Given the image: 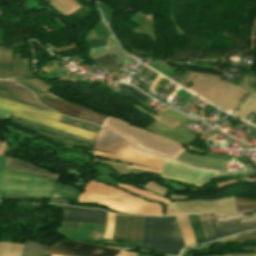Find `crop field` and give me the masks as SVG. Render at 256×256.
I'll return each instance as SVG.
<instances>
[{
    "mask_svg": "<svg viewBox=\"0 0 256 256\" xmlns=\"http://www.w3.org/2000/svg\"><path fill=\"white\" fill-rule=\"evenodd\" d=\"M55 185L47 179L5 169L2 193L51 197Z\"/></svg>",
    "mask_w": 256,
    "mask_h": 256,
    "instance_id": "crop-field-6",
    "label": "crop field"
},
{
    "mask_svg": "<svg viewBox=\"0 0 256 256\" xmlns=\"http://www.w3.org/2000/svg\"><path fill=\"white\" fill-rule=\"evenodd\" d=\"M109 49H110V51H111L113 56H115L117 59H119L120 61H122L123 63H125L127 65L135 62L134 60H132L131 58H129L125 54H123L121 52L122 50L120 51V49H119L117 44L109 47Z\"/></svg>",
    "mask_w": 256,
    "mask_h": 256,
    "instance_id": "crop-field-24",
    "label": "crop field"
},
{
    "mask_svg": "<svg viewBox=\"0 0 256 256\" xmlns=\"http://www.w3.org/2000/svg\"><path fill=\"white\" fill-rule=\"evenodd\" d=\"M176 214L185 213H210L227 214L235 213L233 197L225 198L213 202L191 201L173 203Z\"/></svg>",
    "mask_w": 256,
    "mask_h": 256,
    "instance_id": "crop-field-8",
    "label": "crop field"
},
{
    "mask_svg": "<svg viewBox=\"0 0 256 256\" xmlns=\"http://www.w3.org/2000/svg\"><path fill=\"white\" fill-rule=\"evenodd\" d=\"M64 220L106 224L107 213L100 210L81 209L63 205Z\"/></svg>",
    "mask_w": 256,
    "mask_h": 256,
    "instance_id": "crop-field-11",
    "label": "crop field"
},
{
    "mask_svg": "<svg viewBox=\"0 0 256 256\" xmlns=\"http://www.w3.org/2000/svg\"><path fill=\"white\" fill-rule=\"evenodd\" d=\"M224 256H255V254H230V255H224Z\"/></svg>",
    "mask_w": 256,
    "mask_h": 256,
    "instance_id": "crop-field-37",
    "label": "crop field"
},
{
    "mask_svg": "<svg viewBox=\"0 0 256 256\" xmlns=\"http://www.w3.org/2000/svg\"><path fill=\"white\" fill-rule=\"evenodd\" d=\"M244 240H256V231L246 233L244 235H240V236H237L234 238L226 239V240L222 241V243H223V245H226V244H231V243L240 242V241H244Z\"/></svg>",
    "mask_w": 256,
    "mask_h": 256,
    "instance_id": "crop-field-25",
    "label": "crop field"
},
{
    "mask_svg": "<svg viewBox=\"0 0 256 256\" xmlns=\"http://www.w3.org/2000/svg\"><path fill=\"white\" fill-rule=\"evenodd\" d=\"M163 78L164 77H162V76H158L157 78H156V80L153 82V84L150 86V88H151V90H155L156 88H157V86L160 84V82L163 80Z\"/></svg>",
    "mask_w": 256,
    "mask_h": 256,
    "instance_id": "crop-field-33",
    "label": "crop field"
},
{
    "mask_svg": "<svg viewBox=\"0 0 256 256\" xmlns=\"http://www.w3.org/2000/svg\"><path fill=\"white\" fill-rule=\"evenodd\" d=\"M0 97L12 100L18 103L46 109L45 107L41 106L40 103H38L33 95H28V94H22V93H16V92H10V91H5V90H0ZM48 110V109H46ZM51 111V110H49Z\"/></svg>",
    "mask_w": 256,
    "mask_h": 256,
    "instance_id": "crop-field-16",
    "label": "crop field"
},
{
    "mask_svg": "<svg viewBox=\"0 0 256 256\" xmlns=\"http://www.w3.org/2000/svg\"><path fill=\"white\" fill-rule=\"evenodd\" d=\"M104 244L111 245V246H116V247H122V248H139V245L122 244V243H118V242L104 241Z\"/></svg>",
    "mask_w": 256,
    "mask_h": 256,
    "instance_id": "crop-field-30",
    "label": "crop field"
},
{
    "mask_svg": "<svg viewBox=\"0 0 256 256\" xmlns=\"http://www.w3.org/2000/svg\"><path fill=\"white\" fill-rule=\"evenodd\" d=\"M222 236H228L245 230L256 228V220L241 223L240 220L219 221Z\"/></svg>",
    "mask_w": 256,
    "mask_h": 256,
    "instance_id": "crop-field-12",
    "label": "crop field"
},
{
    "mask_svg": "<svg viewBox=\"0 0 256 256\" xmlns=\"http://www.w3.org/2000/svg\"><path fill=\"white\" fill-rule=\"evenodd\" d=\"M161 113L166 114V115H170V116H174V117H176V118H178V119H180V120H182L184 122L188 119V117H185V116L177 113L176 111H174V110H172L170 108L165 110V111H163V112H161Z\"/></svg>",
    "mask_w": 256,
    "mask_h": 256,
    "instance_id": "crop-field-29",
    "label": "crop field"
},
{
    "mask_svg": "<svg viewBox=\"0 0 256 256\" xmlns=\"http://www.w3.org/2000/svg\"><path fill=\"white\" fill-rule=\"evenodd\" d=\"M51 256H54V255H51Z\"/></svg>",
    "mask_w": 256,
    "mask_h": 256,
    "instance_id": "crop-field-41",
    "label": "crop field"
},
{
    "mask_svg": "<svg viewBox=\"0 0 256 256\" xmlns=\"http://www.w3.org/2000/svg\"><path fill=\"white\" fill-rule=\"evenodd\" d=\"M5 167L20 170V171H24V172H28V173H32V174H37V175H41V176H45V177H49V178H52L54 180H57L60 177V176H58L54 173H50V172H47V171H44V170L37 169V168H35L33 166H30L26 163L20 162V161L15 160V159H10V158L7 159V163H6Z\"/></svg>",
    "mask_w": 256,
    "mask_h": 256,
    "instance_id": "crop-field-15",
    "label": "crop field"
},
{
    "mask_svg": "<svg viewBox=\"0 0 256 256\" xmlns=\"http://www.w3.org/2000/svg\"><path fill=\"white\" fill-rule=\"evenodd\" d=\"M119 94L122 95V96H125L129 99H134L138 102L149 98L148 96L142 94L141 92L135 90L134 88H132L130 86L125 87V86L121 85Z\"/></svg>",
    "mask_w": 256,
    "mask_h": 256,
    "instance_id": "crop-field-22",
    "label": "crop field"
},
{
    "mask_svg": "<svg viewBox=\"0 0 256 256\" xmlns=\"http://www.w3.org/2000/svg\"><path fill=\"white\" fill-rule=\"evenodd\" d=\"M79 119H82V120H85V121H88V122H91V123L101 126L102 123L104 122V120L106 119V116H103L101 114H98V113H95V112H92L90 110L83 108V110L79 116Z\"/></svg>",
    "mask_w": 256,
    "mask_h": 256,
    "instance_id": "crop-field-21",
    "label": "crop field"
},
{
    "mask_svg": "<svg viewBox=\"0 0 256 256\" xmlns=\"http://www.w3.org/2000/svg\"><path fill=\"white\" fill-rule=\"evenodd\" d=\"M46 253L68 256H116L119 252L112 249L80 242L61 241L45 249Z\"/></svg>",
    "mask_w": 256,
    "mask_h": 256,
    "instance_id": "crop-field-9",
    "label": "crop field"
},
{
    "mask_svg": "<svg viewBox=\"0 0 256 256\" xmlns=\"http://www.w3.org/2000/svg\"><path fill=\"white\" fill-rule=\"evenodd\" d=\"M119 256H137V253L122 252Z\"/></svg>",
    "mask_w": 256,
    "mask_h": 256,
    "instance_id": "crop-field-36",
    "label": "crop field"
},
{
    "mask_svg": "<svg viewBox=\"0 0 256 256\" xmlns=\"http://www.w3.org/2000/svg\"><path fill=\"white\" fill-rule=\"evenodd\" d=\"M206 241L221 238V233L215 216L199 215Z\"/></svg>",
    "mask_w": 256,
    "mask_h": 256,
    "instance_id": "crop-field-14",
    "label": "crop field"
},
{
    "mask_svg": "<svg viewBox=\"0 0 256 256\" xmlns=\"http://www.w3.org/2000/svg\"><path fill=\"white\" fill-rule=\"evenodd\" d=\"M242 250H246V251H256V247H245Z\"/></svg>",
    "mask_w": 256,
    "mask_h": 256,
    "instance_id": "crop-field-39",
    "label": "crop field"
},
{
    "mask_svg": "<svg viewBox=\"0 0 256 256\" xmlns=\"http://www.w3.org/2000/svg\"><path fill=\"white\" fill-rule=\"evenodd\" d=\"M42 256H50V255L43 254Z\"/></svg>",
    "mask_w": 256,
    "mask_h": 256,
    "instance_id": "crop-field-40",
    "label": "crop field"
},
{
    "mask_svg": "<svg viewBox=\"0 0 256 256\" xmlns=\"http://www.w3.org/2000/svg\"><path fill=\"white\" fill-rule=\"evenodd\" d=\"M0 116L8 118L10 116V113L0 110Z\"/></svg>",
    "mask_w": 256,
    "mask_h": 256,
    "instance_id": "crop-field-38",
    "label": "crop field"
},
{
    "mask_svg": "<svg viewBox=\"0 0 256 256\" xmlns=\"http://www.w3.org/2000/svg\"><path fill=\"white\" fill-rule=\"evenodd\" d=\"M107 49H108L107 46L100 47V48H94V49H91V53H95V52H99V51H103V50H107Z\"/></svg>",
    "mask_w": 256,
    "mask_h": 256,
    "instance_id": "crop-field-35",
    "label": "crop field"
},
{
    "mask_svg": "<svg viewBox=\"0 0 256 256\" xmlns=\"http://www.w3.org/2000/svg\"><path fill=\"white\" fill-rule=\"evenodd\" d=\"M0 109L13 113V117L25 119L33 123L57 129L73 135L81 136L91 140H93V138L96 136V133L57 123L61 115L53 112L17 104L3 99H0Z\"/></svg>",
    "mask_w": 256,
    "mask_h": 256,
    "instance_id": "crop-field-5",
    "label": "crop field"
},
{
    "mask_svg": "<svg viewBox=\"0 0 256 256\" xmlns=\"http://www.w3.org/2000/svg\"><path fill=\"white\" fill-rule=\"evenodd\" d=\"M10 119H13V120H16V121H19V122H22V123H26V124H29V125H32V126H36V127L42 128V129H44V130L50 131V132H52V133L69 137V138H71V139H75V140H79V141L91 143L90 140H86V139H82V138H79V137H76V136H73V135H69V134H65V133L58 132V131L50 130V129H47V128H44V127H40V126L31 124V123H28V122H24V121H21V120H18V119H14V118H11V117H10Z\"/></svg>",
    "mask_w": 256,
    "mask_h": 256,
    "instance_id": "crop-field-27",
    "label": "crop field"
},
{
    "mask_svg": "<svg viewBox=\"0 0 256 256\" xmlns=\"http://www.w3.org/2000/svg\"><path fill=\"white\" fill-rule=\"evenodd\" d=\"M147 130L148 131H151V132H154V133H157V134H160L166 138H169L175 142H178V143H181L183 145H186V144H190L192 143L194 140H192L190 137H188L187 135L177 131V130H169V129H166L162 126H159L155 123H153L152 125H150L149 127H147Z\"/></svg>",
    "mask_w": 256,
    "mask_h": 256,
    "instance_id": "crop-field-13",
    "label": "crop field"
},
{
    "mask_svg": "<svg viewBox=\"0 0 256 256\" xmlns=\"http://www.w3.org/2000/svg\"><path fill=\"white\" fill-rule=\"evenodd\" d=\"M45 245L24 240L22 256H41Z\"/></svg>",
    "mask_w": 256,
    "mask_h": 256,
    "instance_id": "crop-field-20",
    "label": "crop field"
},
{
    "mask_svg": "<svg viewBox=\"0 0 256 256\" xmlns=\"http://www.w3.org/2000/svg\"><path fill=\"white\" fill-rule=\"evenodd\" d=\"M6 159L7 158L0 156V190H1V184H2V178H3V172H4V166H5ZM0 196H1V194H0Z\"/></svg>",
    "mask_w": 256,
    "mask_h": 256,
    "instance_id": "crop-field-32",
    "label": "crop field"
},
{
    "mask_svg": "<svg viewBox=\"0 0 256 256\" xmlns=\"http://www.w3.org/2000/svg\"><path fill=\"white\" fill-rule=\"evenodd\" d=\"M185 245L196 244L186 216L177 217Z\"/></svg>",
    "mask_w": 256,
    "mask_h": 256,
    "instance_id": "crop-field-19",
    "label": "crop field"
},
{
    "mask_svg": "<svg viewBox=\"0 0 256 256\" xmlns=\"http://www.w3.org/2000/svg\"><path fill=\"white\" fill-rule=\"evenodd\" d=\"M106 41H107V39H96V40L88 41L87 43L92 48V47H96V46L106 45Z\"/></svg>",
    "mask_w": 256,
    "mask_h": 256,
    "instance_id": "crop-field-31",
    "label": "crop field"
},
{
    "mask_svg": "<svg viewBox=\"0 0 256 256\" xmlns=\"http://www.w3.org/2000/svg\"><path fill=\"white\" fill-rule=\"evenodd\" d=\"M13 77V51L0 47V78Z\"/></svg>",
    "mask_w": 256,
    "mask_h": 256,
    "instance_id": "crop-field-17",
    "label": "crop field"
},
{
    "mask_svg": "<svg viewBox=\"0 0 256 256\" xmlns=\"http://www.w3.org/2000/svg\"><path fill=\"white\" fill-rule=\"evenodd\" d=\"M189 91L229 113L249 92L217 77L202 74Z\"/></svg>",
    "mask_w": 256,
    "mask_h": 256,
    "instance_id": "crop-field-4",
    "label": "crop field"
},
{
    "mask_svg": "<svg viewBox=\"0 0 256 256\" xmlns=\"http://www.w3.org/2000/svg\"><path fill=\"white\" fill-rule=\"evenodd\" d=\"M0 88L30 93L25 88H23L21 86H18L16 84L12 83V82H8V81H0Z\"/></svg>",
    "mask_w": 256,
    "mask_h": 256,
    "instance_id": "crop-field-28",
    "label": "crop field"
},
{
    "mask_svg": "<svg viewBox=\"0 0 256 256\" xmlns=\"http://www.w3.org/2000/svg\"><path fill=\"white\" fill-rule=\"evenodd\" d=\"M78 202H92L107 205L116 212L162 216V206L147 203L116 188L90 180L79 195Z\"/></svg>",
    "mask_w": 256,
    "mask_h": 256,
    "instance_id": "crop-field-1",
    "label": "crop field"
},
{
    "mask_svg": "<svg viewBox=\"0 0 256 256\" xmlns=\"http://www.w3.org/2000/svg\"><path fill=\"white\" fill-rule=\"evenodd\" d=\"M191 229L193 231L196 243H204L205 241V237L202 231V227L199 221V217L197 215H191V216H187Z\"/></svg>",
    "mask_w": 256,
    "mask_h": 256,
    "instance_id": "crop-field-18",
    "label": "crop field"
},
{
    "mask_svg": "<svg viewBox=\"0 0 256 256\" xmlns=\"http://www.w3.org/2000/svg\"><path fill=\"white\" fill-rule=\"evenodd\" d=\"M93 60L99 64L104 65V66L118 69L116 63L114 62L113 58L109 54L101 56V57L93 59Z\"/></svg>",
    "mask_w": 256,
    "mask_h": 256,
    "instance_id": "crop-field-26",
    "label": "crop field"
},
{
    "mask_svg": "<svg viewBox=\"0 0 256 256\" xmlns=\"http://www.w3.org/2000/svg\"><path fill=\"white\" fill-rule=\"evenodd\" d=\"M183 247L175 217H145L141 250L177 256Z\"/></svg>",
    "mask_w": 256,
    "mask_h": 256,
    "instance_id": "crop-field-2",
    "label": "crop field"
},
{
    "mask_svg": "<svg viewBox=\"0 0 256 256\" xmlns=\"http://www.w3.org/2000/svg\"><path fill=\"white\" fill-rule=\"evenodd\" d=\"M238 212H244L256 208L255 199L235 198Z\"/></svg>",
    "mask_w": 256,
    "mask_h": 256,
    "instance_id": "crop-field-23",
    "label": "crop field"
},
{
    "mask_svg": "<svg viewBox=\"0 0 256 256\" xmlns=\"http://www.w3.org/2000/svg\"><path fill=\"white\" fill-rule=\"evenodd\" d=\"M144 217L116 215L112 239L140 243Z\"/></svg>",
    "mask_w": 256,
    "mask_h": 256,
    "instance_id": "crop-field-10",
    "label": "crop field"
},
{
    "mask_svg": "<svg viewBox=\"0 0 256 256\" xmlns=\"http://www.w3.org/2000/svg\"><path fill=\"white\" fill-rule=\"evenodd\" d=\"M244 173H220L215 171L199 170L180 164L178 162L165 160L164 166L161 172V176L184 182L186 184H192L195 186H205L211 179L221 176H237L246 175Z\"/></svg>",
    "mask_w": 256,
    "mask_h": 256,
    "instance_id": "crop-field-7",
    "label": "crop field"
},
{
    "mask_svg": "<svg viewBox=\"0 0 256 256\" xmlns=\"http://www.w3.org/2000/svg\"><path fill=\"white\" fill-rule=\"evenodd\" d=\"M95 149L113 153L106 154L93 152L94 156L112 159L144 167L161 169L163 159L148 154L140 153L122 138L101 129L95 139Z\"/></svg>",
    "mask_w": 256,
    "mask_h": 256,
    "instance_id": "crop-field-3",
    "label": "crop field"
},
{
    "mask_svg": "<svg viewBox=\"0 0 256 256\" xmlns=\"http://www.w3.org/2000/svg\"><path fill=\"white\" fill-rule=\"evenodd\" d=\"M1 142V141H0ZM2 143V142H1Z\"/></svg>",
    "mask_w": 256,
    "mask_h": 256,
    "instance_id": "crop-field-42",
    "label": "crop field"
},
{
    "mask_svg": "<svg viewBox=\"0 0 256 256\" xmlns=\"http://www.w3.org/2000/svg\"><path fill=\"white\" fill-rule=\"evenodd\" d=\"M245 180L246 181H255L256 180V170H251L249 176Z\"/></svg>",
    "mask_w": 256,
    "mask_h": 256,
    "instance_id": "crop-field-34",
    "label": "crop field"
},
{
    "mask_svg": "<svg viewBox=\"0 0 256 256\" xmlns=\"http://www.w3.org/2000/svg\"><path fill=\"white\" fill-rule=\"evenodd\" d=\"M256 124V123H255Z\"/></svg>",
    "mask_w": 256,
    "mask_h": 256,
    "instance_id": "crop-field-43",
    "label": "crop field"
}]
</instances>
